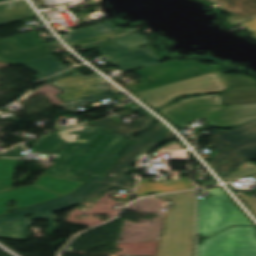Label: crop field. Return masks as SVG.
<instances>
[{
  "label": "crop field",
  "mask_w": 256,
  "mask_h": 256,
  "mask_svg": "<svg viewBox=\"0 0 256 256\" xmlns=\"http://www.w3.org/2000/svg\"><path fill=\"white\" fill-rule=\"evenodd\" d=\"M242 25L245 26L248 31H251V32L256 31V20L247 22V23L242 24Z\"/></svg>",
  "instance_id": "27"
},
{
  "label": "crop field",
  "mask_w": 256,
  "mask_h": 256,
  "mask_svg": "<svg viewBox=\"0 0 256 256\" xmlns=\"http://www.w3.org/2000/svg\"><path fill=\"white\" fill-rule=\"evenodd\" d=\"M2 1H6V0H0V2H2Z\"/></svg>",
  "instance_id": "29"
},
{
  "label": "crop field",
  "mask_w": 256,
  "mask_h": 256,
  "mask_svg": "<svg viewBox=\"0 0 256 256\" xmlns=\"http://www.w3.org/2000/svg\"><path fill=\"white\" fill-rule=\"evenodd\" d=\"M172 199L157 256H193L194 191L163 195Z\"/></svg>",
  "instance_id": "4"
},
{
  "label": "crop field",
  "mask_w": 256,
  "mask_h": 256,
  "mask_svg": "<svg viewBox=\"0 0 256 256\" xmlns=\"http://www.w3.org/2000/svg\"><path fill=\"white\" fill-rule=\"evenodd\" d=\"M129 143L100 126L82 124L44 135L32 149L60 154L46 174L85 182L94 173L103 176Z\"/></svg>",
  "instance_id": "1"
},
{
  "label": "crop field",
  "mask_w": 256,
  "mask_h": 256,
  "mask_svg": "<svg viewBox=\"0 0 256 256\" xmlns=\"http://www.w3.org/2000/svg\"><path fill=\"white\" fill-rule=\"evenodd\" d=\"M206 96L213 97L183 99L161 109L160 113L177 127L195 119H206L217 128H230L256 119V104L225 107L219 94Z\"/></svg>",
  "instance_id": "2"
},
{
  "label": "crop field",
  "mask_w": 256,
  "mask_h": 256,
  "mask_svg": "<svg viewBox=\"0 0 256 256\" xmlns=\"http://www.w3.org/2000/svg\"><path fill=\"white\" fill-rule=\"evenodd\" d=\"M214 195L198 199V234L209 237L232 225H253L220 187L208 189Z\"/></svg>",
  "instance_id": "8"
},
{
  "label": "crop field",
  "mask_w": 256,
  "mask_h": 256,
  "mask_svg": "<svg viewBox=\"0 0 256 256\" xmlns=\"http://www.w3.org/2000/svg\"><path fill=\"white\" fill-rule=\"evenodd\" d=\"M23 150L22 146L16 147L0 156L4 157H21V151Z\"/></svg>",
  "instance_id": "25"
},
{
  "label": "crop field",
  "mask_w": 256,
  "mask_h": 256,
  "mask_svg": "<svg viewBox=\"0 0 256 256\" xmlns=\"http://www.w3.org/2000/svg\"><path fill=\"white\" fill-rule=\"evenodd\" d=\"M101 178V176L93 175L72 194L64 195L1 216L0 238L27 242L29 238L28 230L33 225L32 220L39 219H46L48 221L50 224L49 235H54L58 227L55 222L57 219L52 212L80 204ZM31 214L34 216L24 218Z\"/></svg>",
  "instance_id": "3"
},
{
  "label": "crop field",
  "mask_w": 256,
  "mask_h": 256,
  "mask_svg": "<svg viewBox=\"0 0 256 256\" xmlns=\"http://www.w3.org/2000/svg\"><path fill=\"white\" fill-rule=\"evenodd\" d=\"M220 95L226 106L256 103V86L233 87Z\"/></svg>",
  "instance_id": "19"
},
{
  "label": "crop field",
  "mask_w": 256,
  "mask_h": 256,
  "mask_svg": "<svg viewBox=\"0 0 256 256\" xmlns=\"http://www.w3.org/2000/svg\"><path fill=\"white\" fill-rule=\"evenodd\" d=\"M115 26L116 25H114L113 23L107 21V22H103V23L96 24V25L89 26V27L91 29H93L94 31H96L97 33L102 34V33H106V32L114 30Z\"/></svg>",
  "instance_id": "24"
},
{
  "label": "crop field",
  "mask_w": 256,
  "mask_h": 256,
  "mask_svg": "<svg viewBox=\"0 0 256 256\" xmlns=\"http://www.w3.org/2000/svg\"><path fill=\"white\" fill-rule=\"evenodd\" d=\"M5 41L25 50L38 45H42L41 40L34 31L21 34L15 37L4 39Z\"/></svg>",
  "instance_id": "20"
},
{
  "label": "crop field",
  "mask_w": 256,
  "mask_h": 256,
  "mask_svg": "<svg viewBox=\"0 0 256 256\" xmlns=\"http://www.w3.org/2000/svg\"><path fill=\"white\" fill-rule=\"evenodd\" d=\"M115 44L99 48L98 52L110 59L128 49L148 45V39L145 35L135 33L115 39H111Z\"/></svg>",
  "instance_id": "17"
},
{
  "label": "crop field",
  "mask_w": 256,
  "mask_h": 256,
  "mask_svg": "<svg viewBox=\"0 0 256 256\" xmlns=\"http://www.w3.org/2000/svg\"><path fill=\"white\" fill-rule=\"evenodd\" d=\"M173 136L161 123L153 127L148 133L136 140L125 152L124 156L116 163L107 176L93 188L88 196L80 204L79 209L86 210L100 196L109 189L118 186L128 191H133L135 182L126 176L131 171L132 164L143 157L148 151L156 147L162 141ZM78 208V207H77Z\"/></svg>",
  "instance_id": "5"
},
{
  "label": "crop field",
  "mask_w": 256,
  "mask_h": 256,
  "mask_svg": "<svg viewBox=\"0 0 256 256\" xmlns=\"http://www.w3.org/2000/svg\"><path fill=\"white\" fill-rule=\"evenodd\" d=\"M129 32H132V30L123 29V30H120V31L103 34V35H100L98 37H94V38H90V39H86V40L70 43V45L72 47H74V46H78V45H82V44L98 41V40H101V39H105V38H109V37H113V36L129 33Z\"/></svg>",
  "instance_id": "23"
},
{
  "label": "crop field",
  "mask_w": 256,
  "mask_h": 256,
  "mask_svg": "<svg viewBox=\"0 0 256 256\" xmlns=\"http://www.w3.org/2000/svg\"><path fill=\"white\" fill-rule=\"evenodd\" d=\"M105 82L104 79L96 74L84 76L78 72L51 82L64 92L59 95L64 102L84 96L101 93L99 89L93 85Z\"/></svg>",
  "instance_id": "12"
},
{
  "label": "crop field",
  "mask_w": 256,
  "mask_h": 256,
  "mask_svg": "<svg viewBox=\"0 0 256 256\" xmlns=\"http://www.w3.org/2000/svg\"><path fill=\"white\" fill-rule=\"evenodd\" d=\"M94 36H98V35L94 33L92 30H90L89 28L79 29L70 34L63 35L64 39L68 43L94 37Z\"/></svg>",
  "instance_id": "22"
},
{
  "label": "crop field",
  "mask_w": 256,
  "mask_h": 256,
  "mask_svg": "<svg viewBox=\"0 0 256 256\" xmlns=\"http://www.w3.org/2000/svg\"><path fill=\"white\" fill-rule=\"evenodd\" d=\"M169 177L171 181L161 183H148L147 179L140 180L136 195L143 196L153 193L193 188V183L188 178L179 180L177 175Z\"/></svg>",
  "instance_id": "16"
},
{
  "label": "crop field",
  "mask_w": 256,
  "mask_h": 256,
  "mask_svg": "<svg viewBox=\"0 0 256 256\" xmlns=\"http://www.w3.org/2000/svg\"><path fill=\"white\" fill-rule=\"evenodd\" d=\"M23 66L39 73L34 78L40 80L44 77L52 75L56 72L68 69L64 64H62L57 58L53 55L41 58L29 63L22 64Z\"/></svg>",
  "instance_id": "18"
},
{
  "label": "crop field",
  "mask_w": 256,
  "mask_h": 256,
  "mask_svg": "<svg viewBox=\"0 0 256 256\" xmlns=\"http://www.w3.org/2000/svg\"><path fill=\"white\" fill-rule=\"evenodd\" d=\"M31 16H33V13L23 0L0 5V25ZM53 53H55V51L52 50L50 43L22 52L0 40V60L14 64H22Z\"/></svg>",
  "instance_id": "11"
},
{
  "label": "crop field",
  "mask_w": 256,
  "mask_h": 256,
  "mask_svg": "<svg viewBox=\"0 0 256 256\" xmlns=\"http://www.w3.org/2000/svg\"><path fill=\"white\" fill-rule=\"evenodd\" d=\"M137 112L145 116L144 119L134 123L133 125L127 127L109 117L98 119L95 121H92L93 123L100 125L126 139L135 140L132 138L135 134L141 133L145 131L149 126H151L154 123L153 118L147 114L145 111H143L138 106L133 107Z\"/></svg>",
  "instance_id": "15"
},
{
  "label": "crop field",
  "mask_w": 256,
  "mask_h": 256,
  "mask_svg": "<svg viewBox=\"0 0 256 256\" xmlns=\"http://www.w3.org/2000/svg\"><path fill=\"white\" fill-rule=\"evenodd\" d=\"M254 173H256V165L249 162L238 172H236L235 174L229 175L228 177H225V179L230 181V180L246 177V176L254 174ZM254 178H256V176H254ZM238 195L247 202V204L252 208V210L256 214V198H250L241 193H239Z\"/></svg>",
  "instance_id": "21"
},
{
  "label": "crop field",
  "mask_w": 256,
  "mask_h": 256,
  "mask_svg": "<svg viewBox=\"0 0 256 256\" xmlns=\"http://www.w3.org/2000/svg\"><path fill=\"white\" fill-rule=\"evenodd\" d=\"M253 35H255V36H256V32H254V33H253Z\"/></svg>",
  "instance_id": "28"
},
{
  "label": "crop field",
  "mask_w": 256,
  "mask_h": 256,
  "mask_svg": "<svg viewBox=\"0 0 256 256\" xmlns=\"http://www.w3.org/2000/svg\"><path fill=\"white\" fill-rule=\"evenodd\" d=\"M214 70L218 69L214 66L205 67L198 62H164L134 71V73L143 79L145 83L127 86L125 88L134 93L188 77L208 73Z\"/></svg>",
  "instance_id": "10"
},
{
  "label": "crop field",
  "mask_w": 256,
  "mask_h": 256,
  "mask_svg": "<svg viewBox=\"0 0 256 256\" xmlns=\"http://www.w3.org/2000/svg\"><path fill=\"white\" fill-rule=\"evenodd\" d=\"M76 71H78V70L72 69V70H70V71L64 72V73H62V74L56 75V76H54V77L48 78V79L43 80V81H45V82H51V81H53V80L59 79V78H61V77H64V76L69 75V74H71V73H74V72H76ZM40 82H42V81H40ZM38 83H39V82H38Z\"/></svg>",
  "instance_id": "26"
},
{
  "label": "crop field",
  "mask_w": 256,
  "mask_h": 256,
  "mask_svg": "<svg viewBox=\"0 0 256 256\" xmlns=\"http://www.w3.org/2000/svg\"><path fill=\"white\" fill-rule=\"evenodd\" d=\"M198 256H256L255 227H232L203 241Z\"/></svg>",
  "instance_id": "9"
},
{
  "label": "crop field",
  "mask_w": 256,
  "mask_h": 256,
  "mask_svg": "<svg viewBox=\"0 0 256 256\" xmlns=\"http://www.w3.org/2000/svg\"><path fill=\"white\" fill-rule=\"evenodd\" d=\"M219 153L209 164L219 175L229 173L256 156V120L231 131L218 130L212 136Z\"/></svg>",
  "instance_id": "7"
},
{
  "label": "crop field",
  "mask_w": 256,
  "mask_h": 256,
  "mask_svg": "<svg viewBox=\"0 0 256 256\" xmlns=\"http://www.w3.org/2000/svg\"><path fill=\"white\" fill-rule=\"evenodd\" d=\"M215 4L219 3L223 10L231 16L228 23L236 25L256 19V0H209Z\"/></svg>",
  "instance_id": "14"
},
{
  "label": "crop field",
  "mask_w": 256,
  "mask_h": 256,
  "mask_svg": "<svg viewBox=\"0 0 256 256\" xmlns=\"http://www.w3.org/2000/svg\"><path fill=\"white\" fill-rule=\"evenodd\" d=\"M163 60L150 47H146L128 51L108 62L117 68L134 71L160 63Z\"/></svg>",
  "instance_id": "13"
},
{
  "label": "crop field",
  "mask_w": 256,
  "mask_h": 256,
  "mask_svg": "<svg viewBox=\"0 0 256 256\" xmlns=\"http://www.w3.org/2000/svg\"><path fill=\"white\" fill-rule=\"evenodd\" d=\"M256 84L254 79L242 75H223L220 71L136 93L153 109L170 103L183 95L222 92L230 86Z\"/></svg>",
  "instance_id": "6"
}]
</instances>
